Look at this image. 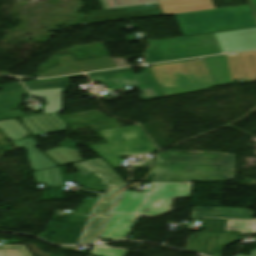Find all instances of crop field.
<instances>
[{"label": "crop field", "instance_id": "crop-field-1", "mask_svg": "<svg viewBox=\"0 0 256 256\" xmlns=\"http://www.w3.org/2000/svg\"><path fill=\"white\" fill-rule=\"evenodd\" d=\"M233 156L179 152L160 154L151 174L152 180H232Z\"/></svg>", "mask_w": 256, "mask_h": 256}, {"label": "crop field", "instance_id": "crop-field-2", "mask_svg": "<svg viewBox=\"0 0 256 256\" xmlns=\"http://www.w3.org/2000/svg\"><path fill=\"white\" fill-rule=\"evenodd\" d=\"M73 165L80 171L74 173L75 180L81 182L82 178L86 179L83 187L97 191L106 190L81 241L82 244L94 243L112 205L121 192L124 179L117 175L101 158L86 160Z\"/></svg>", "mask_w": 256, "mask_h": 256}, {"label": "crop field", "instance_id": "crop-field-3", "mask_svg": "<svg viewBox=\"0 0 256 256\" xmlns=\"http://www.w3.org/2000/svg\"><path fill=\"white\" fill-rule=\"evenodd\" d=\"M165 97L216 86L203 58L149 67Z\"/></svg>", "mask_w": 256, "mask_h": 256}, {"label": "crop field", "instance_id": "crop-field-4", "mask_svg": "<svg viewBox=\"0 0 256 256\" xmlns=\"http://www.w3.org/2000/svg\"><path fill=\"white\" fill-rule=\"evenodd\" d=\"M175 15L184 36L256 26L248 5Z\"/></svg>", "mask_w": 256, "mask_h": 256}, {"label": "crop field", "instance_id": "crop-field-5", "mask_svg": "<svg viewBox=\"0 0 256 256\" xmlns=\"http://www.w3.org/2000/svg\"><path fill=\"white\" fill-rule=\"evenodd\" d=\"M191 184L189 182H153L151 195L145 193L124 191L114 212L157 216L165 214L173 198L189 197ZM158 199H163L159 208L155 207Z\"/></svg>", "mask_w": 256, "mask_h": 256}, {"label": "crop field", "instance_id": "crop-field-6", "mask_svg": "<svg viewBox=\"0 0 256 256\" xmlns=\"http://www.w3.org/2000/svg\"><path fill=\"white\" fill-rule=\"evenodd\" d=\"M223 52L214 33L151 41L148 63Z\"/></svg>", "mask_w": 256, "mask_h": 256}, {"label": "crop field", "instance_id": "crop-field-7", "mask_svg": "<svg viewBox=\"0 0 256 256\" xmlns=\"http://www.w3.org/2000/svg\"><path fill=\"white\" fill-rule=\"evenodd\" d=\"M108 144L93 146L114 168L121 167L119 156L136 155L155 150L138 125L98 131Z\"/></svg>", "mask_w": 256, "mask_h": 256}, {"label": "crop field", "instance_id": "crop-field-8", "mask_svg": "<svg viewBox=\"0 0 256 256\" xmlns=\"http://www.w3.org/2000/svg\"><path fill=\"white\" fill-rule=\"evenodd\" d=\"M227 219L204 218L205 225L203 233H195L190 237L187 250L221 256L224 246L239 241L241 232L224 231Z\"/></svg>", "mask_w": 256, "mask_h": 256}, {"label": "crop field", "instance_id": "crop-field-9", "mask_svg": "<svg viewBox=\"0 0 256 256\" xmlns=\"http://www.w3.org/2000/svg\"><path fill=\"white\" fill-rule=\"evenodd\" d=\"M90 77L93 81L106 84L110 90L125 86H137L141 92L140 97L142 101L163 97L158 85L154 81L155 79L149 73L148 69L142 70V73L139 74L127 71Z\"/></svg>", "mask_w": 256, "mask_h": 256}, {"label": "crop field", "instance_id": "crop-field-10", "mask_svg": "<svg viewBox=\"0 0 256 256\" xmlns=\"http://www.w3.org/2000/svg\"><path fill=\"white\" fill-rule=\"evenodd\" d=\"M0 129L17 149L24 148L27 151L32 171L57 165L34 147L37 145L34 137L27 140L22 139L29 132L16 119L0 121Z\"/></svg>", "mask_w": 256, "mask_h": 256}, {"label": "crop field", "instance_id": "crop-field-11", "mask_svg": "<svg viewBox=\"0 0 256 256\" xmlns=\"http://www.w3.org/2000/svg\"><path fill=\"white\" fill-rule=\"evenodd\" d=\"M58 62L60 66L49 68L47 71L39 73V77L116 67L110 57L75 62L71 55H65L59 56Z\"/></svg>", "mask_w": 256, "mask_h": 256}, {"label": "crop field", "instance_id": "crop-field-12", "mask_svg": "<svg viewBox=\"0 0 256 256\" xmlns=\"http://www.w3.org/2000/svg\"><path fill=\"white\" fill-rule=\"evenodd\" d=\"M157 8H159L158 4L154 3V4H146V5H139V6H132V7L102 10V11H94V12H90L85 17V19L88 24H93V23H102V22H109V21H117V20H126V19L163 15L161 10L157 9ZM149 9H157V10H149ZM142 10H149V11H142ZM134 11H142V12L105 16V17H102V19H100L99 17H96V16L126 13V12H134ZM92 17H96V18H92Z\"/></svg>", "mask_w": 256, "mask_h": 256}, {"label": "crop field", "instance_id": "crop-field-13", "mask_svg": "<svg viewBox=\"0 0 256 256\" xmlns=\"http://www.w3.org/2000/svg\"><path fill=\"white\" fill-rule=\"evenodd\" d=\"M215 34L224 52L256 48V28Z\"/></svg>", "mask_w": 256, "mask_h": 256}, {"label": "crop field", "instance_id": "crop-field-14", "mask_svg": "<svg viewBox=\"0 0 256 256\" xmlns=\"http://www.w3.org/2000/svg\"><path fill=\"white\" fill-rule=\"evenodd\" d=\"M86 224L51 220L46 231L55 233L50 242L77 244Z\"/></svg>", "mask_w": 256, "mask_h": 256}, {"label": "crop field", "instance_id": "crop-field-15", "mask_svg": "<svg viewBox=\"0 0 256 256\" xmlns=\"http://www.w3.org/2000/svg\"><path fill=\"white\" fill-rule=\"evenodd\" d=\"M28 94V91L24 88L23 85L8 87L6 89L0 90V111L15 109L18 108L22 98L20 96ZM43 114V113H39ZM39 114H31V115H39ZM26 115L21 110L10 111L0 113V120L4 119H12L23 116H31Z\"/></svg>", "mask_w": 256, "mask_h": 256}, {"label": "crop field", "instance_id": "crop-field-16", "mask_svg": "<svg viewBox=\"0 0 256 256\" xmlns=\"http://www.w3.org/2000/svg\"><path fill=\"white\" fill-rule=\"evenodd\" d=\"M234 79L256 80V51L228 55Z\"/></svg>", "mask_w": 256, "mask_h": 256}, {"label": "crop field", "instance_id": "crop-field-17", "mask_svg": "<svg viewBox=\"0 0 256 256\" xmlns=\"http://www.w3.org/2000/svg\"><path fill=\"white\" fill-rule=\"evenodd\" d=\"M138 215L113 213L100 238L119 240L123 239L133 226Z\"/></svg>", "mask_w": 256, "mask_h": 256}, {"label": "crop field", "instance_id": "crop-field-18", "mask_svg": "<svg viewBox=\"0 0 256 256\" xmlns=\"http://www.w3.org/2000/svg\"><path fill=\"white\" fill-rule=\"evenodd\" d=\"M59 114H60V112L53 113V114H47V115H40V116L24 117L21 119L24 121L22 124L33 135H35L38 133H49V132L66 130L67 125L58 117ZM30 119L32 120V122L29 121ZM46 119H48L53 126H51ZM56 121L59 124H57ZM36 126H38L42 132ZM54 127L57 130H55Z\"/></svg>", "mask_w": 256, "mask_h": 256}, {"label": "crop field", "instance_id": "crop-field-19", "mask_svg": "<svg viewBox=\"0 0 256 256\" xmlns=\"http://www.w3.org/2000/svg\"><path fill=\"white\" fill-rule=\"evenodd\" d=\"M159 1L166 14L215 8L211 0H159Z\"/></svg>", "mask_w": 256, "mask_h": 256}, {"label": "crop field", "instance_id": "crop-field-20", "mask_svg": "<svg viewBox=\"0 0 256 256\" xmlns=\"http://www.w3.org/2000/svg\"><path fill=\"white\" fill-rule=\"evenodd\" d=\"M59 145L60 147L44 151V153L59 165L83 160L80 158L79 150L71 139L67 138L63 142L59 143Z\"/></svg>", "mask_w": 256, "mask_h": 256}, {"label": "crop field", "instance_id": "crop-field-21", "mask_svg": "<svg viewBox=\"0 0 256 256\" xmlns=\"http://www.w3.org/2000/svg\"><path fill=\"white\" fill-rule=\"evenodd\" d=\"M253 212L247 209L223 208V207H194L191 218L201 216H217L231 218H251Z\"/></svg>", "mask_w": 256, "mask_h": 256}, {"label": "crop field", "instance_id": "crop-field-22", "mask_svg": "<svg viewBox=\"0 0 256 256\" xmlns=\"http://www.w3.org/2000/svg\"><path fill=\"white\" fill-rule=\"evenodd\" d=\"M205 60L214 76L217 86L232 82L225 55L207 57Z\"/></svg>", "mask_w": 256, "mask_h": 256}, {"label": "crop field", "instance_id": "crop-field-23", "mask_svg": "<svg viewBox=\"0 0 256 256\" xmlns=\"http://www.w3.org/2000/svg\"><path fill=\"white\" fill-rule=\"evenodd\" d=\"M225 230L242 231V234H255L256 220L228 219Z\"/></svg>", "mask_w": 256, "mask_h": 256}, {"label": "crop field", "instance_id": "crop-field-24", "mask_svg": "<svg viewBox=\"0 0 256 256\" xmlns=\"http://www.w3.org/2000/svg\"><path fill=\"white\" fill-rule=\"evenodd\" d=\"M0 256H31L25 245L0 246Z\"/></svg>", "mask_w": 256, "mask_h": 256}, {"label": "crop field", "instance_id": "crop-field-25", "mask_svg": "<svg viewBox=\"0 0 256 256\" xmlns=\"http://www.w3.org/2000/svg\"><path fill=\"white\" fill-rule=\"evenodd\" d=\"M106 9L131 5L154 3L156 0H102Z\"/></svg>", "mask_w": 256, "mask_h": 256}, {"label": "crop field", "instance_id": "crop-field-26", "mask_svg": "<svg viewBox=\"0 0 256 256\" xmlns=\"http://www.w3.org/2000/svg\"><path fill=\"white\" fill-rule=\"evenodd\" d=\"M127 252L128 251L126 250L109 248L104 244H102V245L94 246L91 251V254L98 255V256H125Z\"/></svg>", "mask_w": 256, "mask_h": 256}, {"label": "crop field", "instance_id": "crop-field-27", "mask_svg": "<svg viewBox=\"0 0 256 256\" xmlns=\"http://www.w3.org/2000/svg\"><path fill=\"white\" fill-rule=\"evenodd\" d=\"M26 86L29 90L52 89V88H59V87H67V86H70V83H69V80H65V81L29 84Z\"/></svg>", "mask_w": 256, "mask_h": 256}, {"label": "crop field", "instance_id": "crop-field-28", "mask_svg": "<svg viewBox=\"0 0 256 256\" xmlns=\"http://www.w3.org/2000/svg\"><path fill=\"white\" fill-rule=\"evenodd\" d=\"M82 76H85V75H77V76H69V77H61V78L45 79V80L27 81V82H24V84H28V83H36V82H44V81H52V80H61V79L74 78V77H82Z\"/></svg>", "mask_w": 256, "mask_h": 256}, {"label": "crop field", "instance_id": "crop-field-29", "mask_svg": "<svg viewBox=\"0 0 256 256\" xmlns=\"http://www.w3.org/2000/svg\"><path fill=\"white\" fill-rule=\"evenodd\" d=\"M112 60H113L114 63L117 65V67L130 65L129 62H128V61H125V60L116 59V58H112Z\"/></svg>", "mask_w": 256, "mask_h": 256}, {"label": "crop field", "instance_id": "crop-field-30", "mask_svg": "<svg viewBox=\"0 0 256 256\" xmlns=\"http://www.w3.org/2000/svg\"><path fill=\"white\" fill-rule=\"evenodd\" d=\"M131 70L130 68H125V69H118V70H111V71H104V72H97V73H90L89 75H94V74H102V73H110V72H119V71H127Z\"/></svg>", "mask_w": 256, "mask_h": 256}, {"label": "crop field", "instance_id": "crop-field-31", "mask_svg": "<svg viewBox=\"0 0 256 256\" xmlns=\"http://www.w3.org/2000/svg\"><path fill=\"white\" fill-rule=\"evenodd\" d=\"M251 2H252V5H253V7H254V10H255V12H256V0H251Z\"/></svg>", "mask_w": 256, "mask_h": 256}, {"label": "crop field", "instance_id": "crop-field-32", "mask_svg": "<svg viewBox=\"0 0 256 256\" xmlns=\"http://www.w3.org/2000/svg\"><path fill=\"white\" fill-rule=\"evenodd\" d=\"M16 84H21V83H20V82H17V83H9V84H5V86L16 85Z\"/></svg>", "mask_w": 256, "mask_h": 256}, {"label": "crop field", "instance_id": "crop-field-33", "mask_svg": "<svg viewBox=\"0 0 256 256\" xmlns=\"http://www.w3.org/2000/svg\"><path fill=\"white\" fill-rule=\"evenodd\" d=\"M160 202H161V200L158 201V203H157V205H156L157 207L159 206Z\"/></svg>", "mask_w": 256, "mask_h": 256}]
</instances>
